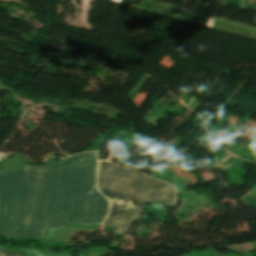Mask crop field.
Instances as JSON below:
<instances>
[{
  "mask_svg": "<svg viewBox=\"0 0 256 256\" xmlns=\"http://www.w3.org/2000/svg\"><path fill=\"white\" fill-rule=\"evenodd\" d=\"M0 256H23L17 252L0 249Z\"/></svg>",
  "mask_w": 256,
  "mask_h": 256,
  "instance_id": "34b2d1b8",
  "label": "crop field"
},
{
  "mask_svg": "<svg viewBox=\"0 0 256 256\" xmlns=\"http://www.w3.org/2000/svg\"><path fill=\"white\" fill-rule=\"evenodd\" d=\"M96 156L26 165L23 174L1 171L0 235L42 238L46 227L101 223L107 203L94 189Z\"/></svg>",
  "mask_w": 256,
  "mask_h": 256,
  "instance_id": "8a807250",
  "label": "crop field"
},
{
  "mask_svg": "<svg viewBox=\"0 0 256 256\" xmlns=\"http://www.w3.org/2000/svg\"><path fill=\"white\" fill-rule=\"evenodd\" d=\"M98 189L110 200L103 225L118 227L116 233L124 235L147 202L173 206L177 200L174 186L104 162L98 163Z\"/></svg>",
  "mask_w": 256,
  "mask_h": 256,
  "instance_id": "ac0d7876",
  "label": "crop field"
}]
</instances>
